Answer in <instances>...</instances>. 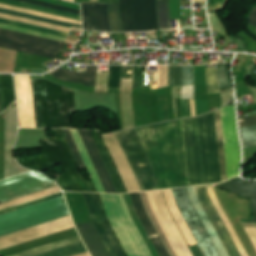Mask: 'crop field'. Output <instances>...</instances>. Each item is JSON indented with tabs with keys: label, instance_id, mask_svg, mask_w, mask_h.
<instances>
[{
	"label": "crop field",
	"instance_id": "obj_46",
	"mask_svg": "<svg viewBox=\"0 0 256 256\" xmlns=\"http://www.w3.org/2000/svg\"><path fill=\"white\" fill-rule=\"evenodd\" d=\"M17 1L26 2V3L46 7V8H52V9L62 10V11L71 12V13L81 15L80 11H78V10H74V9H70V8H66V7H62V6H58V5H54V4H49V3H45V2H41V1H37V0H17Z\"/></svg>",
	"mask_w": 256,
	"mask_h": 256
},
{
	"label": "crop field",
	"instance_id": "obj_12",
	"mask_svg": "<svg viewBox=\"0 0 256 256\" xmlns=\"http://www.w3.org/2000/svg\"><path fill=\"white\" fill-rule=\"evenodd\" d=\"M55 185L45 176L30 171L0 181V202Z\"/></svg>",
	"mask_w": 256,
	"mask_h": 256
},
{
	"label": "crop field",
	"instance_id": "obj_2",
	"mask_svg": "<svg viewBox=\"0 0 256 256\" xmlns=\"http://www.w3.org/2000/svg\"><path fill=\"white\" fill-rule=\"evenodd\" d=\"M53 130L56 138L39 141L45 153L20 157L18 158L20 163L41 172L61 163L65 172L56 182L63 190L96 192L93 183H86L79 172L62 131Z\"/></svg>",
	"mask_w": 256,
	"mask_h": 256
},
{
	"label": "crop field",
	"instance_id": "obj_31",
	"mask_svg": "<svg viewBox=\"0 0 256 256\" xmlns=\"http://www.w3.org/2000/svg\"><path fill=\"white\" fill-rule=\"evenodd\" d=\"M80 240L81 239H80L79 235H77V236L70 237V238H67V239H64V240H61L58 242H54V243H51V244H48L45 246H41V247L29 250V251H25V252H22V253L13 255V256H32V255H35V254H38L41 252H45V251H48V250H51V249H54L57 247H61V246H64V245H67V244H70L73 242L80 241Z\"/></svg>",
	"mask_w": 256,
	"mask_h": 256
},
{
	"label": "crop field",
	"instance_id": "obj_6",
	"mask_svg": "<svg viewBox=\"0 0 256 256\" xmlns=\"http://www.w3.org/2000/svg\"><path fill=\"white\" fill-rule=\"evenodd\" d=\"M198 122L205 184L221 182L214 112Z\"/></svg>",
	"mask_w": 256,
	"mask_h": 256
},
{
	"label": "crop field",
	"instance_id": "obj_36",
	"mask_svg": "<svg viewBox=\"0 0 256 256\" xmlns=\"http://www.w3.org/2000/svg\"><path fill=\"white\" fill-rule=\"evenodd\" d=\"M108 9L112 32H122L119 17V4H108Z\"/></svg>",
	"mask_w": 256,
	"mask_h": 256
},
{
	"label": "crop field",
	"instance_id": "obj_40",
	"mask_svg": "<svg viewBox=\"0 0 256 256\" xmlns=\"http://www.w3.org/2000/svg\"><path fill=\"white\" fill-rule=\"evenodd\" d=\"M206 82L208 93L220 92L218 86L217 69L206 68Z\"/></svg>",
	"mask_w": 256,
	"mask_h": 256
},
{
	"label": "crop field",
	"instance_id": "obj_9",
	"mask_svg": "<svg viewBox=\"0 0 256 256\" xmlns=\"http://www.w3.org/2000/svg\"><path fill=\"white\" fill-rule=\"evenodd\" d=\"M151 209L177 256H193L173 220L161 191L146 192Z\"/></svg>",
	"mask_w": 256,
	"mask_h": 256
},
{
	"label": "crop field",
	"instance_id": "obj_29",
	"mask_svg": "<svg viewBox=\"0 0 256 256\" xmlns=\"http://www.w3.org/2000/svg\"><path fill=\"white\" fill-rule=\"evenodd\" d=\"M120 17L124 32L135 31L133 26L131 0H120Z\"/></svg>",
	"mask_w": 256,
	"mask_h": 256
},
{
	"label": "crop field",
	"instance_id": "obj_32",
	"mask_svg": "<svg viewBox=\"0 0 256 256\" xmlns=\"http://www.w3.org/2000/svg\"><path fill=\"white\" fill-rule=\"evenodd\" d=\"M5 110L15 100L12 75H0Z\"/></svg>",
	"mask_w": 256,
	"mask_h": 256
},
{
	"label": "crop field",
	"instance_id": "obj_23",
	"mask_svg": "<svg viewBox=\"0 0 256 256\" xmlns=\"http://www.w3.org/2000/svg\"><path fill=\"white\" fill-rule=\"evenodd\" d=\"M187 189H188L191 201H192L197 213L199 214L202 222L204 223L208 233L210 234L213 242L215 243L219 253L221 254V256H228L226 250L224 249L220 239L218 238L213 226L211 225L207 215L205 214V212H204V210H203V208H202V206H201V204L198 200L195 188L190 187V188H187Z\"/></svg>",
	"mask_w": 256,
	"mask_h": 256
},
{
	"label": "crop field",
	"instance_id": "obj_62",
	"mask_svg": "<svg viewBox=\"0 0 256 256\" xmlns=\"http://www.w3.org/2000/svg\"><path fill=\"white\" fill-rule=\"evenodd\" d=\"M69 1H73L74 2V0H69Z\"/></svg>",
	"mask_w": 256,
	"mask_h": 256
},
{
	"label": "crop field",
	"instance_id": "obj_58",
	"mask_svg": "<svg viewBox=\"0 0 256 256\" xmlns=\"http://www.w3.org/2000/svg\"><path fill=\"white\" fill-rule=\"evenodd\" d=\"M3 112V108H2V100H1V93H0V113Z\"/></svg>",
	"mask_w": 256,
	"mask_h": 256
},
{
	"label": "crop field",
	"instance_id": "obj_47",
	"mask_svg": "<svg viewBox=\"0 0 256 256\" xmlns=\"http://www.w3.org/2000/svg\"><path fill=\"white\" fill-rule=\"evenodd\" d=\"M0 23L15 25V26L24 27V28H28V29H33V30H37V31H42V32H46V33H51V34H55V35H60V36H64V37L67 36L66 33L57 32V31H53V30H48V29H44V28H39V27H35V26H30V25H26V24H21V23H17V22L7 21V20H1L0 19Z\"/></svg>",
	"mask_w": 256,
	"mask_h": 256
},
{
	"label": "crop field",
	"instance_id": "obj_3",
	"mask_svg": "<svg viewBox=\"0 0 256 256\" xmlns=\"http://www.w3.org/2000/svg\"><path fill=\"white\" fill-rule=\"evenodd\" d=\"M31 83L38 128H73L71 114L76 112L73 90L48 80H31Z\"/></svg>",
	"mask_w": 256,
	"mask_h": 256
},
{
	"label": "crop field",
	"instance_id": "obj_55",
	"mask_svg": "<svg viewBox=\"0 0 256 256\" xmlns=\"http://www.w3.org/2000/svg\"><path fill=\"white\" fill-rule=\"evenodd\" d=\"M245 230L256 249V228H245Z\"/></svg>",
	"mask_w": 256,
	"mask_h": 256
},
{
	"label": "crop field",
	"instance_id": "obj_38",
	"mask_svg": "<svg viewBox=\"0 0 256 256\" xmlns=\"http://www.w3.org/2000/svg\"><path fill=\"white\" fill-rule=\"evenodd\" d=\"M0 28L13 30V31H17V32H22V33H26V34H31V35H35V36H40V37H44V38H49V39H53V40H58V41H62V42H64L66 39L64 37L55 36V35H51V34H46V33H42V32H37V31H33V30L10 26V25L0 24Z\"/></svg>",
	"mask_w": 256,
	"mask_h": 256
},
{
	"label": "crop field",
	"instance_id": "obj_37",
	"mask_svg": "<svg viewBox=\"0 0 256 256\" xmlns=\"http://www.w3.org/2000/svg\"><path fill=\"white\" fill-rule=\"evenodd\" d=\"M0 2L1 3L12 4V5H16V6H21V7L32 8V9H36V10H41V11H45V12H49V13H54V14H58V15H63V16H67V17H71V18H75V19L81 20V16H79V15L70 14V13H66V12H62V11L41 8V7H37V6H33V5L21 3V2L10 1V0H0Z\"/></svg>",
	"mask_w": 256,
	"mask_h": 256
},
{
	"label": "crop field",
	"instance_id": "obj_17",
	"mask_svg": "<svg viewBox=\"0 0 256 256\" xmlns=\"http://www.w3.org/2000/svg\"><path fill=\"white\" fill-rule=\"evenodd\" d=\"M136 31L158 30L155 0H132Z\"/></svg>",
	"mask_w": 256,
	"mask_h": 256
},
{
	"label": "crop field",
	"instance_id": "obj_45",
	"mask_svg": "<svg viewBox=\"0 0 256 256\" xmlns=\"http://www.w3.org/2000/svg\"><path fill=\"white\" fill-rule=\"evenodd\" d=\"M121 66H110L109 88L120 89Z\"/></svg>",
	"mask_w": 256,
	"mask_h": 256
},
{
	"label": "crop field",
	"instance_id": "obj_34",
	"mask_svg": "<svg viewBox=\"0 0 256 256\" xmlns=\"http://www.w3.org/2000/svg\"><path fill=\"white\" fill-rule=\"evenodd\" d=\"M157 13L160 29L171 28L169 22V0L157 1Z\"/></svg>",
	"mask_w": 256,
	"mask_h": 256
},
{
	"label": "crop field",
	"instance_id": "obj_7",
	"mask_svg": "<svg viewBox=\"0 0 256 256\" xmlns=\"http://www.w3.org/2000/svg\"><path fill=\"white\" fill-rule=\"evenodd\" d=\"M65 43L0 29V47L44 56L52 59L67 60L57 56Z\"/></svg>",
	"mask_w": 256,
	"mask_h": 256
},
{
	"label": "crop field",
	"instance_id": "obj_14",
	"mask_svg": "<svg viewBox=\"0 0 256 256\" xmlns=\"http://www.w3.org/2000/svg\"><path fill=\"white\" fill-rule=\"evenodd\" d=\"M73 227L74 226L72 224L70 216L62 218L53 222H49L17 233L0 237V249L14 246Z\"/></svg>",
	"mask_w": 256,
	"mask_h": 256
},
{
	"label": "crop field",
	"instance_id": "obj_43",
	"mask_svg": "<svg viewBox=\"0 0 256 256\" xmlns=\"http://www.w3.org/2000/svg\"><path fill=\"white\" fill-rule=\"evenodd\" d=\"M218 76L221 91L231 88L230 78L228 74V65H218Z\"/></svg>",
	"mask_w": 256,
	"mask_h": 256
},
{
	"label": "crop field",
	"instance_id": "obj_59",
	"mask_svg": "<svg viewBox=\"0 0 256 256\" xmlns=\"http://www.w3.org/2000/svg\"><path fill=\"white\" fill-rule=\"evenodd\" d=\"M77 256H90L89 253H84V254H80V255H77Z\"/></svg>",
	"mask_w": 256,
	"mask_h": 256
},
{
	"label": "crop field",
	"instance_id": "obj_24",
	"mask_svg": "<svg viewBox=\"0 0 256 256\" xmlns=\"http://www.w3.org/2000/svg\"><path fill=\"white\" fill-rule=\"evenodd\" d=\"M98 192L105 193L77 130H70Z\"/></svg>",
	"mask_w": 256,
	"mask_h": 256
},
{
	"label": "crop field",
	"instance_id": "obj_35",
	"mask_svg": "<svg viewBox=\"0 0 256 256\" xmlns=\"http://www.w3.org/2000/svg\"><path fill=\"white\" fill-rule=\"evenodd\" d=\"M0 8L9 9V10H13V11H18V12H22V13H27V14L47 17V18H51V19H55V20H59V21H64V22H69V23H74V24L81 25V21H79V20L58 17V16L49 15V14H45V13H41V12H36V11H32V10L12 7V6H8V5H5V4H0Z\"/></svg>",
	"mask_w": 256,
	"mask_h": 256
},
{
	"label": "crop field",
	"instance_id": "obj_41",
	"mask_svg": "<svg viewBox=\"0 0 256 256\" xmlns=\"http://www.w3.org/2000/svg\"><path fill=\"white\" fill-rule=\"evenodd\" d=\"M0 12L1 13H6V14H11V15H16V16H21V17H26V18H30V19H34V20H38V21H43V22L51 23V24H56V25H60V26L68 27V28H70L71 26L82 28L79 25L58 22V21H54V20H50V19H46V18H42V17L21 14V13L12 12V11L3 10V9H0Z\"/></svg>",
	"mask_w": 256,
	"mask_h": 256
},
{
	"label": "crop field",
	"instance_id": "obj_1",
	"mask_svg": "<svg viewBox=\"0 0 256 256\" xmlns=\"http://www.w3.org/2000/svg\"><path fill=\"white\" fill-rule=\"evenodd\" d=\"M136 130L153 165L156 189L188 186L181 120Z\"/></svg>",
	"mask_w": 256,
	"mask_h": 256
},
{
	"label": "crop field",
	"instance_id": "obj_52",
	"mask_svg": "<svg viewBox=\"0 0 256 256\" xmlns=\"http://www.w3.org/2000/svg\"><path fill=\"white\" fill-rule=\"evenodd\" d=\"M226 1L227 0H209L208 2L209 12L222 8Z\"/></svg>",
	"mask_w": 256,
	"mask_h": 256
},
{
	"label": "crop field",
	"instance_id": "obj_22",
	"mask_svg": "<svg viewBox=\"0 0 256 256\" xmlns=\"http://www.w3.org/2000/svg\"><path fill=\"white\" fill-rule=\"evenodd\" d=\"M97 66H87L86 74L56 69L48 74L68 82L84 83V86L95 87Z\"/></svg>",
	"mask_w": 256,
	"mask_h": 256
},
{
	"label": "crop field",
	"instance_id": "obj_60",
	"mask_svg": "<svg viewBox=\"0 0 256 256\" xmlns=\"http://www.w3.org/2000/svg\"><path fill=\"white\" fill-rule=\"evenodd\" d=\"M205 0H195V2H204Z\"/></svg>",
	"mask_w": 256,
	"mask_h": 256
},
{
	"label": "crop field",
	"instance_id": "obj_48",
	"mask_svg": "<svg viewBox=\"0 0 256 256\" xmlns=\"http://www.w3.org/2000/svg\"><path fill=\"white\" fill-rule=\"evenodd\" d=\"M173 85H181V67L171 66L170 68V84Z\"/></svg>",
	"mask_w": 256,
	"mask_h": 256
},
{
	"label": "crop field",
	"instance_id": "obj_11",
	"mask_svg": "<svg viewBox=\"0 0 256 256\" xmlns=\"http://www.w3.org/2000/svg\"><path fill=\"white\" fill-rule=\"evenodd\" d=\"M182 121L189 186L204 185L197 118Z\"/></svg>",
	"mask_w": 256,
	"mask_h": 256
},
{
	"label": "crop field",
	"instance_id": "obj_30",
	"mask_svg": "<svg viewBox=\"0 0 256 256\" xmlns=\"http://www.w3.org/2000/svg\"><path fill=\"white\" fill-rule=\"evenodd\" d=\"M94 132H95V135H96V138H97V141H98L101 153H102V155L104 157V160H105V162L107 164V167H108V169L110 171V174H111V176L113 178V181H114V183L116 185V188H117L118 192L119 193L125 192L123 187H122V184H121V182H120V180L118 178V175H117V173L115 171V168H114V166L112 164V161H111V159H110V157L108 155V152H107V150L105 148V145H104V143H103V141H102V139H101V137L99 135V133L96 132V131H94Z\"/></svg>",
	"mask_w": 256,
	"mask_h": 256
},
{
	"label": "crop field",
	"instance_id": "obj_8",
	"mask_svg": "<svg viewBox=\"0 0 256 256\" xmlns=\"http://www.w3.org/2000/svg\"><path fill=\"white\" fill-rule=\"evenodd\" d=\"M143 191L155 189L153 168L134 129L116 133Z\"/></svg>",
	"mask_w": 256,
	"mask_h": 256
},
{
	"label": "crop field",
	"instance_id": "obj_49",
	"mask_svg": "<svg viewBox=\"0 0 256 256\" xmlns=\"http://www.w3.org/2000/svg\"><path fill=\"white\" fill-rule=\"evenodd\" d=\"M169 66H160L158 73V88L168 86Z\"/></svg>",
	"mask_w": 256,
	"mask_h": 256
},
{
	"label": "crop field",
	"instance_id": "obj_33",
	"mask_svg": "<svg viewBox=\"0 0 256 256\" xmlns=\"http://www.w3.org/2000/svg\"><path fill=\"white\" fill-rule=\"evenodd\" d=\"M59 191H61V190L59 189L58 186H56V187H53V188H50V189H47V190H43V191L28 195V196H25V197H22V198H18V199L0 204V208H4V207L16 205V204H20V203H24V202H28V201H32V200H35V199H38V198H41V197L59 192Z\"/></svg>",
	"mask_w": 256,
	"mask_h": 256
},
{
	"label": "crop field",
	"instance_id": "obj_57",
	"mask_svg": "<svg viewBox=\"0 0 256 256\" xmlns=\"http://www.w3.org/2000/svg\"><path fill=\"white\" fill-rule=\"evenodd\" d=\"M98 2H103V3H118V0H98Z\"/></svg>",
	"mask_w": 256,
	"mask_h": 256
},
{
	"label": "crop field",
	"instance_id": "obj_25",
	"mask_svg": "<svg viewBox=\"0 0 256 256\" xmlns=\"http://www.w3.org/2000/svg\"><path fill=\"white\" fill-rule=\"evenodd\" d=\"M164 191V194H165V197H166V200H167V203H168V206L173 214V216L175 217L179 227L181 228L184 236L186 237L189 245H195L196 242L193 238V236L191 235L185 221L183 220L175 202H174V199H173V196L171 194V191L170 190H163Z\"/></svg>",
	"mask_w": 256,
	"mask_h": 256
},
{
	"label": "crop field",
	"instance_id": "obj_16",
	"mask_svg": "<svg viewBox=\"0 0 256 256\" xmlns=\"http://www.w3.org/2000/svg\"><path fill=\"white\" fill-rule=\"evenodd\" d=\"M199 200L208 215L212 225L214 226L219 238L221 239L225 249L227 250L229 256H241L237 250L234 242L232 241L228 231L226 230L222 220L220 219L217 211L215 210L208 192L205 186L195 187Z\"/></svg>",
	"mask_w": 256,
	"mask_h": 256
},
{
	"label": "crop field",
	"instance_id": "obj_61",
	"mask_svg": "<svg viewBox=\"0 0 256 256\" xmlns=\"http://www.w3.org/2000/svg\"><path fill=\"white\" fill-rule=\"evenodd\" d=\"M90 1H94V2H97V0H90Z\"/></svg>",
	"mask_w": 256,
	"mask_h": 256
},
{
	"label": "crop field",
	"instance_id": "obj_27",
	"mask_svg": "<svg viewBox=\"0 0 256 256\" xmlns=\"http://www.w3.org/2000/svg\"><path fill=\"white\" fill-rule=\"evenodd\" d=\"M83 252H86V249L82 241H80L35 256H73Z\"/></svg>",
	"mask_w": 256,
	"mask_h": 256
},
{
	"label": "crop field",
	"instance_id": "obj_20",
	"mask_svg": "<svg viewBox=\"0 0 256 256\" xmlns=\"http://www.w3.org/2000/svg\"><path fill=\"white\" fill-rule=\"evenodd\" d=\"M93 256H110L93 222L77 225Z\"/></svg>",
	"mask_w": 256,
	"mask_h": 256
},
{
	"label": "crop field",
	"instance_id": "obj_18",
	"mask_svg": "<svg viewBox=\"0 0 256 256\" xmlns=\"http://www.w3.org/2000/svg\"><path fill=\"white\" fill-rule=\"evenodd\" d=\"M84 29L110 31L107 4H82Z\"/></svg>",
	"mask_w": 256,
	"mask_h": 256
},
{
	"label": "crop field",
	"instance_id": "obj_4",
	"mask_svg": "<svg viewBox=\"0 0 256 256\" xmlns=\"http://www.w3.org/2000/svg\"><path fill=\"white\" fill-rule=\"evenodd\" d=\"M100 195L107 217L128 256H152L128 213L123 195Z\"/></svg>",
	"mask_w": 256,
	"mask_h": 256
},
{
	"label": "crop field",
	"instance_id": "obj_13",
	"mask_svg": "<svg viewBox=\"0 0 256 256\" xmlns=\"http://www.w3.org/2000/svg\"><path fill=\"white\" fill-rule=\"evenodd\" d=\"M92 220L111 256H126L111 230L97 194L83 193Z\"/></svg>",
	"mask_w": 256,
	"mask_h": 256
},
{
	"label": "crop field",
	"instance_id": "obj_50",
	"mask_svg": "<svg viewBox=\"0 0 256 256\" xmlns=\"http://www.w3.org/2000/svg\"><path fill=\"white\" fill-rule=\"evenodd\" d=\"M181 104H182L183 118L191 117V113H192V117L195 116L194 100H190L191 113H190L189 100H181Z\"/></svg>",
	"mask_w": 256,
	"mask_h": 256
},
{
	"label": "crop field",
	"instance_id": "obj_10",
	"mask_svg": "<svg viewBox=\"0 0 256 256\" xmlns=\"http://www.w3.org/2000/svg\"><path fill=\"white\" fill-rule=\"evenodd\" d=\"M176 204L194 235L204 256H219L200 218L198 217L186 188L171 190Z\"/></svg>",
	"mask_w": 256,
	"mask_h": 256
},
{
	"label": "crop field",
	"instance_id": "obj_44",
	"mask_svg": "<svg viewBox=\"0 0 256 256\" xmlns=\"http://www.w3.org/2000/svg\"><path fill=\"white\" fill-rule=\"evenodd\" d=\"M63 133H64V135H65V137L67 139V142H68V144H69V146L71 148V151H72V153H73V155L75 157V160H76L79 168L81 169L83 167H86L84 162H83V160H82V157H81V155H80V153H79V151L77 149V146H76V144H75V142L73 140V137H72L70 131L69 130H63Z\"/></svg>",
	"mask_w": 256,
	"mask_h": 256
},
{
	"label": "crop field",
	"instance_id": "obj_19",
	"mask_svg": "<svg viewBox=\"0 0 256 256\" xmlns=\"http://www.w3.org/2000/svg\"><path fill=\"white\" fill-rule=\"evenodd\" d=\"M107 193H117L89 131L79 130Z\"/></svg>",
	"mask_w": 256,
	"mask_h": 256
},
{
	"label": "crop field",
	"instance_id": "obj_53",
	"mask_svg": "<svg viewBox=\"0 0 256 256\" xmlns=\"http://www.w3.org/2000/svg\"><path fill=\"white\" fill-rule=\"evenodd\" d=\"M62 195L63 194L61 193V194L54 195V196H51V197H48V198H45V199H41V200H38V201H35V202H32V203H28V204H25V205H22V206H18V207L9 209V210H5V211L0 212V215L4 214V213H7V212H10V211H14V210L26 207V206H30V205L36 204V203H39V202H43V201H46V200H49V199H52V198H55V197H59V196H62Z\"/></svg>",
	"mask_w": 256,
	"mask_h": 256
},
{
	"label": "crop field",
	"instance_id": "obj_15",
	"mask_svg": "<svg viewBox=\"0 0 256 256\" xmlns=\"http://www.w3.org/2000/svg\"><path fill=\"white\" fill-rule=\"evenodd\" d=\"M101 136L118 168L127 191H142L116 134L113 133Z\"/></svg>",
	"mask_w": 256,
	"mask_h": 256
},
{
	"label": "crop field",
	"instance_id": "obj_26",
	"mask_svg": "<svg viewBox=\"0 0 256 256\" xmlns=\"http://www.w3.org/2000/svg\"><path fill=\"white\" fill-rule=\"evenodd\" d=\"M208 190H209L210 197H211V199H212V201H213V203H214V205H215L217 211L219 212V214H220V216H221V218H222L224 224L226 225V227H227V229H228L230 235L232 236V238H233V240H234V242H235L237 248L239 249L241 255H242V256H248L247 253H246V251L244 250V248H243V246H242L240 240L238 239V237H237V235H236L234 229L232 228V226H231L229 220L227 219V217H226V215H225L223 209L221 208V206H220V204H219V202H218V200H217V198H216V196H215L214 189L208 187Z\"/></svg>",
	"mask_w": 256,
	"mask_h": 256
},
{
	"label": "crop field",
	"instance_id": "obj_54",
	"mask_svg": "<svg viewBox=\"0 0 256 256\" xmlns=\"http://www.w3.org/2000/svg\"><path fill=\"white\" fill-rule=\"evenodd\" d=\"M240 127L256 125V117L239 119Z\"/></svg>",
	"mask_w": 256,
	"mask_h": 256
},
{
	"label": "crop field",
	"instance_id": "obj_39",
	"mask_svg": "<svg viewBox=\"0 0 256 256\" xmlns=\"http://www.w3.org/2000/svg\"><path fill=\"white\" fill-rule=\"evenodd\" d=\"M244 148L256 146V126L240 129Z\"/></svg>",
	"mask_w": 256,
	"mask_h": 256
},
{
	"label": "crop field",
	"instance_id": "obj_42",
	"mask_svg": "<svg viewBox=\"0 0 256 256\" xmlns=\"http://www.w3.org/2000/svg\"><path fill=\"white\" fill-rule=\"evenodd\" d=\"M0 17L7 18V19H12V20H17V21L37 25V26H42V27H46V28H50V29H54V30H58V31L66 32V33H68L69 30H70V29L64 28V27H59V26H55V25H50V24H46V23H41V22H37V21H32V20L23 19V18L14 17V16H9V15H4V14H0Z\"/></svg>",
	"mask_w": 256,
	"mask_h": 256
},
{
	"label": "crop field",
	"instance_id": "obj_5",
	"mask_svg": "<svg viewBox=\"0 0 256 256\" xmlns=\"http://www.w3.org/2000/svg\"><path fill=\"white\" fill-rule=\"evenodd\" d=\"M64 197L26 207L0 216V235L69 215Z\"/></svg>",
	"mask_w": 256,
	"mask_h": 256
},
{
	"label": "crop field",
	"instance_id": "obj_51",
	"mask_svg": "<svg viewBox=\"0 0 256 256\" xmlns=\"http://www.w3.org/2000/svg\"><path fill=\"white\" fill-rule=\"evenodd\" d=\"M193 66L183 67L182 82L183 85L193 84L192 82Z\"/></svg>",
	"mask_w": 256,
	"mask_h": 256
},
{
	"label": "crop field",
	"instance_id": "obj_28",
	"mask_svg": "<svg viewBox=\"0 0 256 256\" xmlns=\"http://www.w3.org/2000/svg\"><path fill=\"white\" fill-rule=\"evenodd\" d=\"M215 117H216V127H217V137H218V147H219V157H220V167H221V177H222V182H223V181L227 180V175H226V165H225V155H224V145H223V135H222L220 110L215 112Z\"/></svg>",
	"mask_w": 256,
	"mask_h": 256
},
{
	"label": "crop field",
	"instance_id": "obj_56",
	"mask_svg": "<svg viewBox=\"0 0 256 256\" xmlns=\"http://www.w3.org/2000/svg\"><path fill=\"white\" fill-rule=\"evenodd\" d=\"M248 18L250 19L249 25L256 27V7H255L254 11L249 15Z\"/></svg>",
	"mask_w": 256,
	"mask_h": 256
},
{
	"label": "crop field",
	"instance_id": "obj_21",
	"mask_svg": "<svg viewBox=\"0 0 256 256\" xmlns=\"http://www.w3.org/2000/svg\"><path fill=\"white\" fill-rule=\"evenodd\" d=\"M130 195L135 206L136 212L143 226L145 227L150 239L152 240L157 252L159 253L160 256H169L144 210L139 194L134 193Z\"/></svg>",
	"mask_w": 256,
	"mask_h": 256
}]
</instances>
